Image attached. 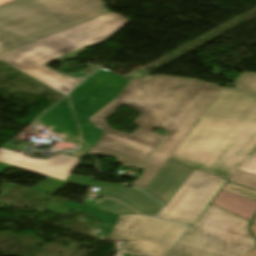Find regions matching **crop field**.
I'll use <instances>...</instances> for the list:
<instances>
[{
  "mask_svg": "<svg viewBox=\"0 0 256 256\" xmlns=\"http://www.w3.org/2000/svg\"><path fill=\"white\" fill-rule=\"evenodd\" d=\"M220 89L198 80L159 75L133 79L120 96L88 119L106 132L88 154L114 156L125 166L140 168L162 139L152 129L168 131L142 166L145 171L132 182V186L144 191ZM120 104L142 112L133 122L138 130L129 136L109 128L105 122Z\"/></svg>",
  "mask_w": 256,
  "mask_h": 256,
  "instance_id": "obj_1",
  "label": "crop field"
},
{
  "mask_svg": "<svg viewBox=\"0 0 256 256\" xmlns=\"http://www.w3.org/2000/svg\"><path fill=\"white\" fill-rule=\"evenodd\" d=\"M256 145V95L225 87L170 159L230 178Z\"/></svg>",
  "mask_w": 256,
  "mask_h": 256,
  "instance_id": "obj_2",
  "label": "crop field"
},
{
  "mask_svg": "<svg viewBox=\"0 0 256 256\" xmlns=\"http://www.w3.org/2000/svg\"><path fill=\"white\" fill-rule=\"evenodd\" d=\"M102 0H15L0 6V54L106 14Z\"/></svg>",
  "mask_w": 256,
  "mask_h": 256,
  "instance_id": "obj_3",
  "label": "crop field"
},
{
  "mask_svg": "<svg viewBox=\"0 0 256 256\" xmlns=\"http://www.w3.org/2000/svg\"><path fill=\"white\" fill-rule=\"evenodd\" d=\"M126 20L108 13L0 55V60L67 94L82 80L64 78L44 63L105 40Z\"/></svg>",
  "mask_w": 256,
  "mask_h": 256,
  "instance_id": "obj_4",
  "label": "crop field"
},
{
  "mask_svg": "<svg viewBox=\"0 0 256 256\" xmlns=\"http://www.w3.org/2000/svg\"><path fill=\"white\" fill-rule=\"evenodd\" d=\"M128 81L100 69L60 103L40 116L36 125L48 126L52 130L70 134L69 139L79 140L77 149L88 153L105 132L87 119L121 94Z\"/></svg>",
  "mask_w": 256,
  "mask_h": 256,
  "instance_id": "obj_5",
  "label": "crop field"
},
{
  "mask_svg": "<svg viewBox=\"0 0 256 256\" xmlns=\"http://www.w3.org/2000/svg\"><path fill=\"white\" fill-rule=\"evenodd\" d=\"M248 223L209 203L168 256H256Z\"/></svg>",
  "mask_w": 256,
  "mask_h": 256,
  "instance_id": "obj_6",
  "label": "crop field"
},
{
  "mask_svg": "<svg viewBox=\"0 0 256 256\" xmlns=\"http://www.w3.org/2000/svg\"><path fill=\"white\" fill-rule=\"evenodd\" d=\"M106 237L129 241L123 248L137 256H164L187 226L141 215H116Z\"/></svg>",
  "mask_w": 256,
  "mask_h": 256,
  "instance_id": "obj_7",
  "label": "crop field"
},
{
  "mask_svg": "<svg viewBox=\"0 0 256 256\" xmlns=\"http://www.w3.org/2000/svg\"><path fill=\"white\" fill-rule=\"evenodd\" d=\"M226 180L195 169L158 217L193 225Z\"/></svg>",
  "mask_w": 256,
  "mask_h": 256,
  "instance_id": "obj_8",
  "label": "crop field"
},
{
  "mask_svg": "<svg viewBox=\"0 0 256 256\" xmlns=\"http://www.w3.org/2000/svg\"><path fill=\"white\" fill-rule=\"evenodd\" d=\"M79 158L60 153L48 160L34 159L0 148V162L18 166L65 181Z\"/></svg>",
  "mask_w": 256,
  "mask_h": 256,
  "instance_id": "obj_9",
  "label": "crop field"
},
{
  "mask_svg": "<svg viewBox=\"0 0 256 256\" xmlns=\"http://www.w3.org/2000/svg\"><path fill=\"white\" fill-rule=\"evenodd\" d=\"M193 170L194 168L168 159L144 192L165 205Z\"/></svg>",
  "mask_w": 256,
  "mask_h": 256,
  "instance_id": "obj_10",
  "label": "crop field"
},
{
  "mask_svg": "<svg viewBox=\"0 0 256 256\" xmlns=\"http://www.w3.org/2000/svg\"><path fill=\"white\" fill-rule=\"evenodd\" d=\"M85 186H94L99 187L97 193L102 197L116 198L131 208L137 210L139 213L148 214L154 216L159 209L162 207L159 203L149 199L142 193L138 192L135 189L130 188H118L102 185H92V184H81Z\"/></svg>",
  "mask_w": 256,
  "mask_h": 256,
  "instance_id": "obj_11",
  "label": "crop field"
},
{
  "mask_svg": "<svg viewBox=\"0 0 256 256\" xmlns=\"http://www.w3.org/2000/svg\"><path fill=\"white\" fill-rule=\"evenodd\" d=\"M211 203L230 211L248 221L256 213V202L220 190Z\"/></svg>",
  "mask_w": 256,
  "mask_h": 256,
  "instance_id": "obj_12",
  "label": "crop field"
},
{
  "mask_svg": "<svg viewBox=\"0 0 256 256\" xmlns=\"http://www.w3.org/2000/svg\"><path fill=\"white\" fill-rule=\"evenodd\" d=\"M77 209L92 215L97 216V220L98 221H102V222H106V223H110V221L114 218V214L108 213V212H104L98 209H95L93 207H89V206H85L82 204H78V203H74V202H70V201H65L62 204L59 203H53L50 202L48 203V209L51 212L54 213H58V214H65L67 211H69L70 209Z\"/></svg>",
  "mask_w": 256,
  "mask_h": 256,
  "instance_id": "obj_13",
  "label": "crop field"
},
{
  "mask_svg": "<svg viewBox=\"0 0 256 256\" xmlns=\"http://www.w3.org/2000/svg\"><path fill=\"white\" fill-rule=\"evenodd\" d=\"M85 204L114 214H137L124 206L122 203L115 200L104 199L103 201L99 200L96 204L90 202H86Z\"/></svg>",
  "mask_w": 256,
  "mask_h": 256,
  "instance_id": "obj_14",
  "label": "crop field"
},
{
  "mask_svg": "<svg viewBox=\"0 0 256 256\" xmlns=\"http://www.w3.org/2000/svg\"><path fill=\"white\" fill-rule=\"evenodd\" d=\"M228 181L256 190V175L236 170Z\"/></svg>",
  "mask_w": 256,
  "mask_h": 256,
  "instance_id": "obj_15",
  "label": "crop field"
},
{
  "mask_svg": "<svg viewBox=\"0 0 256 256\" xmlns=\"http://www.w3.org/2000/svg\"><path fill=\"white\" fill-rule=\"evenodd\" d=\"M68 182H63L54 178H47L44 181L40 182L39 184L35 185L31 189L39 190L46 193H54L64 185H66ZM49 194V195H50Z\"/></svg>",
  "mask_w": 256,
  "mask_h": 256,
  "instance_id": "obj_16",
  "label": "crop field"
},
{
  "mask_svg": "<svg viewBox=\"0 0 256 256\" xmlns=\"http://www.w3.org/2000/svg\"><path fill=\"white\" fill-rule=\"evenodd\" d=\"M236 88L256 93V73H244L237 79Z\"/></svg>",
  "mask_w": 256,
  "mask_h": 256,
  "instance_id": "obj_17",
  "label": "crop field"
},
{
  "mask_svg": "<svg viewBox=\"0 0 256 256\" xmlns=\"http://www.w3.org/2000/svg\"><path fill=\"white\" fill-rule=\"evenodd\" d=\"M222 189L256 201V192L253 190L229 182Z\"/></svg>",
  "mask_w": 256,
  "mask_h": 256,
  "instance_id": "obj_18",
  "label": "crop field"
},
{
  "mask_svg": "<svg viewBox=\"0 0 256 256\" xmlns=\"http://www.w3.org/2000/svg\"><path fill=\"white\" fill-rule=\"evenodd\" d=\"M93 180H94V177L70 175L66 181L82 182V183H92V184H103V185L125 187V185L109 184V183H99V182H93Z\"/></svg>",
  "mask_w": 256,
  "mask_h": 256,
  "instance_id": "obj_19",
  "label": "crop field"
},
{
  "mask_svg": "<svg viewBox=\"0 0 256 256\" xmlns=\"http://www.w3.org/2000/svg\"><path fill=\"white\" fill-rule=\"evenodd\" d=\"M238 170L256 174V165L243 162L241 166L238 168Z\"/></svg>",
  "mask_w": 256,
  "mask_h": 256,
  "instance_id": "obj_20",
  "label": "crop field"
},
{
  "mask_svg": "<svg viewBox=\"0 0 256 256\" xmlns=\"http://www.w3.org/2000/svg\"><path fill=\"white\" fill-rule=\"evenodd\" d=\"M245 162H249V163H252V164H256V157L249 155V156L247 157V159L245 160Z\"/></svg>",
  "mask_w": 256,
  "mask_h": 256,
  "instance_id": "obj_21",
  "label": "crop field"
},
{
  "mask_svg": "<svg viewBox=\"0 0 256 256\" xmlns=\"http://www.w3.org/2000/svg\"><path fill=\"white\" fill-rule=\"evenodd\" d=\"M250 230H251V232L253 233V235H254L255 238H256V225L253 224V223H251V225H250Z\"/></svg>",
  "mask_w": 256,
  "mask_h": 256,
  "instance_id": "obj_22",
  "label": "crop field"
},
{
  "mask_svg": "<svg viewBox=\"0 0 256 256\" xmlns=\"http://www.w3.org/2000/svg\"><path fill=\"white\" fill-rule=\"evenodd\" d=\"M10 165L0 163V172L6 168H8Z\"/></svg>",
  "mask_w": 256,
  "mask_h": 256,
  "instance_id": "obj_23",
  "label": "crop field"
},
{
  "mask_svg": "<svg viewBox=\"0 0 256 256\" xmlns=\"http://www.w3.org/2000/svg\"><path fill=\"white\" fill-rule=\"evenodd\" d=\"M10 1H13V0H0V5L5 4V3H8V2H10Z\"/></svg>",
  "mask_w": 256,
  "mask_h": 256,
  "instance_id": "obj_24",
  "label": "crop field"
},
{
  "mask_svg": "<svg viewBox=\"0 0 256 256\" xmlns=\"http://www.w3.org/2000/svg\"><path fill=\"white\" fill-rule=\"evenodd\" d=\"M251 155L256 156V146H255V148L253 149V151L251 152Z\"/></svg>",
  "mask_w": 256,
  "mask_h": 256,
  "instance_id": "obj_25",
  "label": "crop field"
},
{
  "mask_svg": "<svg viewBox=\"0 0 256 256\" xmlns=\"http://www.w3.org/2000/svg\"><path fill=\"white\" fill-rule=\"evenodd\" d=\"M107 240H113V241L117 242V240H115V239H109V238H107Z\"/></svg>",
  "mask_w": 256,
  "mask_h": 256,
  "instance_id": "obj_26",
  "label": "crop field"
},
{
  "mask_svg": "<svg viewBox=\"0 0 256 256\" xmlns=\"http://www.w3.org/2000/svg\"><path fill=\"white\" fill-rule=\"evenodd\" d=\"M253 223H255V224H256V217H255V219L253 220Z\"/></svg>",
  "mask_w": 256,
  "mask_h": 256,
  "instance_id": "obj_27",
  "label": "crop field"
}]
</instances>
